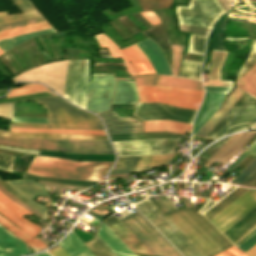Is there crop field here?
<instances>
[{
	"mask_svg": "<svg viewBox=\"0 0 256 256\" xmlns=\"http://www.w3.org/2000/svg\"><path fill=\"white\" fill-rule=\"evenodd\" d=\"M0 223H2L4 226H6L11 232H13L16 236H18L20 239H22L24 242H26L32 248L39 250V249H43V248L47 247L36 237L34 239L30 238L28 235H26L20 229L15 227L13 224H11L9 221H7L5 218H3L1 215H0Z\"/></svg>",
	"mask_w": 256,
	"mask_h": 256,
	"instance_id": "120bbe31",
	"label": "crop field"
},
{
	"mask_svg": "<svg viewBox=\"0 0 256 256\" xmlns=\"http://www.w3.org/2000/svg\"><path fill=\"white\" fill-rule=\"evenodd\" d=\"M249 1H252V2H255V3H256V0H249Z\"/></svg>",
	"mask_w": 256,
	"mask_h": 256,
	"instance_id": "180be81f",
	"label": "crop field"
},
{
	"mask_svg": "<svg viewBox=\"0 0 256 256\" xmlns=\"http://www.w3.org/2000/svg\"><path fill=\"white\" fill-rule=\"evenodd\" d=\"M256 123V98L250 97L232 119L214 137L217 139L230 132L251 128Z\"/></svg>",
	"mask_w": 256,
	"mask_h": 256,
	"instance_id": "733c2abd",
	"label": "crop field"
},
{
	"mask_svg": "<svg viewBox=\"0 0 256 256\" xmlns=\"http://www.w3.org/2000/svg\"><path fill=\"white\" fill-rule=\"evenodd\" d=\"M157 201L165 209L166 212L176 210L175 206L172 204L168 197L157 199Z\"/></svg>",
	"mask_w": 256,
	"mask_h": 256,
	"instance_id": "0765c3eb",
	"label": "crop field"
},
{
	"mask_svg": "<svg viewBox=\"0 0 256 256\" xmlns=\"http://www.w3.org/2000/svg\"><path fill=\"white\" fill-rule=\"evenodd\" d=\"M109 136L111 138V141L181 137V135L179 134L167 132L117 134Z\"/></svg>",
	"mask_w": 256,
	"mask_h": 256,
	"instance_id": "1d83c4d3",
	"label": "crop field"
},
{
	"mask_svg": "<svg viewBox=\"0 0 256 256\" xmlns=\"http://www.w3.org/2000/svg\"><path fill=\"white\" fill-rule=\"evenodd\" d=\"M15 157L0 155V169L10 171Z\"/></svg>",
	"mask_w": 256,
	"mask_h": 256,
	"instance_id": "0fb4a251",
	"label": "crop field"
},
{
	"mask_svg": "<svg viewBox=\"0 0 256 256\" xmlns=\"http://www.w3.org/2000/svg\"><path fill=\"white\" fill-rule=\"evenodd\" d=\"M245 91L235 87L232 93L222 104L226 94L206 92L205 100L196 117L193 134L202 126V124L212 115L204 125L195 133L196 135L205 136L209 130L219 121V119L230 109V107L240 98Z\"/></svg>",
	"mask_w": 256,
	"mask_h": 256,
	"instance_id": "d8731c3e",
	"label": "crop field"
},
{
	"mask_svg": "<svg viewBox=\"0 0 256 256\" xmlns=\"http://www.w3.org/2000/svg\"><path fill=\"white\" fill-rule=\"evenodd\" d=\"M103 222L133 251L136 256H153L114 215Z\"/></svg>",
	"mask_w": 256,
	"mask_h": 256,
	"instance_id": "4a817a6b",
	"label": "crop field"
},
{
	"mask_svg": "<svg viewBox=\"0 0 256 256\" xmlns=\"http://www.w3.org/2000/svg\"><path fill=\"white\" fill-rule=\"evenodd\" d=\"M58 245L70 256H95L72 232Z\"/></svg>",
	"mask_w": 256,
	"mask_h": 256,
	"instance_id": "730fd06b",
	"label": "crop field"
},
{
	"mask_svg": "<svg viewBox=\"0 0 256 256\" xmlns=\"http://www.w3.org/2000/svg\"><path fill=\"white\" fill-rule=\"evenodd\" d=\"M245 190L247 189L237 187L231 193H229L226 197H224L221 201H219L216 205H214L215 208L208 210L207 212L204 213V215L210 220L222 209H224L228 204H230L234 199H236L239 195H241Z\"/></svg>",
	"mask_w": 256,
	"mask_h": 256,
	"instance_id": "5866460e",
	"label": "crop field"
},
{
	"mask_svg": "<svg viewBox=\"0 0 256 256\" xmlns=\"http://www.w3.org/2000/svg\"><path fill=\"white\" fill-rule=\"evenodd\" d=\"M195 112L158 103H147L139 104L134 115L143 120L167 119L191 124Z\"/></svg>",
	"mask_w": 256,
	"mask_h": 256,
	"instance_id": "5142ce71",
	"label": "crop field"
},
{
	"mask_svg": "<svg viewBox=\"0 0 256 256\" xmlns=\"http://www.w3.org/2000/svg\"><path fill=\"white\" fill-rule=\"evenodd\" d=\"M149 199L205 256H212L232 245L204 216L192 208L166 214L153 196Z\"/></svg>",
	"mask_w": 256,
	"mask_h": 256,
	"instance_id": "8a807250",
	"label": "crop field"
},
{
	"mask_svg": "<svg viewBox=\"0 0 256 256\" xmlns=\"http://www.w3.org/2000/svg\"><path fill=\"white\" fill-rule=\"evenodd\" d=\"M22 178L30 179V180H38V181L70 183V184L84 185V186H90L93 183H95V182H92V181L55 179V178L39 177V176H33V175H27V174H22Z\"/></svg>",
	"mask_w": 256,
	"mask_h": 256,
	"instance_id": "d23c7cc5",
	"label": "crop field"
},
{
	"mask_svg": "<svg viewBox=\"0 0 256 256\" xmlns=\"http://www.w3.org/2000/svg\"><path fill=\"white\" fill-rule=\"evenodd\" d=\"M190 128L191 125L189 124H183L167 120L144 121L145 131L166 130L184 134V129L190 130Z\"/></svg>",
	"mask_w": 256,
	"mask_h": 256,
	"instance_id": "ae1a2a85",
	"label": "crop field"
},
{
	"mask_svg": "<svg viewBox=\"0 0 256 256\" xmlns=\"http://www.w3.org/2000/svg\"><path fill=\"white\" fill-rule=\"evenodd\" d=\"M237 249L234 247H231L215 256H247L244 253L240 252L241 250L239 251Z\"/></svg>",
	"mask_w": 256,
	"mask_h": 256,
	"instance_id": "7b73153f",
	"label": "crop field"
},
{
	"mask_svg": "<svg viewBox=\"0 0 256 256\" xmlns=\"http://www.w3.org/2000/svg\"><path fill=\"white\" fill-rule=\"evenodd\" d=\"M136 45L147 56L156 73L171 75L167 62L155 43L146 38L136 43Z\"/></svg>",
	"mask_w": 256,
	"mask_h": 256,
	"instance_id": "92a150f3",
	"label": "crop field"
},
{
	"mask_svg": "<svg viewBox=\"0 0 256 256\" xmlns=\"http://www.w3.org/2000/svg\"><path fill=\"white\" fill-rule=\"evenodd\" d=\"M183 47L184 46L172 45V48H173L172 68H173L174 75H177V73H178L179 60H180L181 55H182Z\"/></svg>",
	"mask_w": 256,
	"mask_h": 256,
	"instance_id": "dbb93151",
	"label": "crop field"
},
{
	"mask_svg": "<svg viewBox=\"0 0 256 256\" xmlns=\"http://www.w3.org/2000/svg\"><path fill=\"white\" fill-rule=\"evenodd\" d=\"M41 90H47V88L39 84H25L22 87L12 88L7 97Z\"/></svg>",
	"mask_w": 256,
	"mask_h": 256,
	"instance_id": "425ffa30",
	"label": "crop field"
},
{
	"mask_svg": "<svg viewBox=\"0 0 256 256\" xmlns=\"http://www.w3.org/2000/svg\"><path fill=\"white\" fill-rule=\"evenodd\" d=\"M0 144L25 149H51L73 153L114 154L107 140L0 136Z\"/></svg>",
	"mask_w": 256,
	"mask_h": 256,
	"instance_id": "412701ff",
	"label": "crop field"
},
{
	"mask_svg": "<svg viewBox=\"0 0 256 256\" xmlns=\"http://www.w3.org/2000/svg\"><path fill=\"white\" fill-rule=\"evenodd\" d=\"M14 122H33V123H48L47 118H30V117H12Z\"/></svg>",
	"mask_w": 256,
	"mask_h": 256,
	"instance_id": "9d1cf04e",
	"label": "crop field"
},
{
	"mask_svg": "<svg viewBox=\"0 0 256 256\" xmlns=\"http://www.w3.org/2000/svg\"><path fill=\"white\" fill-rule=\"evenodd\" d=\"M36 102L47 109L52 127L103 129L97 117L68 104L59 96L36 100Z\"/></svg>",
	"mask_w": 256,
	"mask_h": 256,
	"instance_id": "f4fd0767",
	"label": "crop field"
},
{
	"mask_svg": "<svg viewBox=\"0 0 256 256\" xmlns=\"http://www.w3.org/2000/svg\"><path fill=\"white\" fill-rule=\"evenodd\" d=\"M10 136L107 139L106 136L45 134V133H21V132H10Z\"/></svg>",
	"mask_w": 256,
	"mask_h": 256,
	"instance_id": "b80d0937",
	"label": "crop field"
},
{
	"mask_svg": "<svg viewBox=\"0 0 256 256\" xmlns=\"http://www.w3.org/2000/svg\"><path fill=\"white\" fill-rule=\"evenodd\" d=\"M34 256H36V255H34Z\"/></svg>",
	"mask_w": 256,
	"mask_h": 256,
	"instance_id": "1f1604b0",
	"label": "crop field"
},
{
	"mask_svg": "<svg viewBox=\"0 0 256 256\" xmlns=\"http://www.w3.org/2000/svg\"><path fill=\"white\" fill-rule=\"evenodd\" d=\"M88 83V60H68L63 96L84 108Z\"/></svg>",
	"mask_w": 256,
	"mask_h": 256,
	"instance_id": "28ad6ade",
	"label": "crop field"
},
{
	"mask_svg": "<svg viewBox=\"0 0 256 256\" xmlns=\"http://www.w3.org/2000/svg\"><path fill=\"white\" fill-rule=\"evenodd\" d=\"M109 134L142 132L141 122L133 118L119 117L114 110L99 113Z\"/></svg>",
	"mask_w": 256,
	"mask_h": 256,
	"instance_id": "bc2a9ffb",
	"label": "crop field"
},
{
	"mask_svg": "<svg viewBox=\"0 0 256 256\" xmlns=\"http://www.w3.org/2000/svg\"><path fill=\"white\" fill-rule=\"evenodd\" d=\"M256 206V190L248 189L210 221L223 233ZM256 232V207L223 234L237 247Z\"/></svg>",
	"mask_w": 256,
	"mask_h": 256,
	"instance_id": "ac0d7876",
	"label": "crop field"
},
{
	"mask_svg": "<svg viewBox=\"0 0 256 256\" xmlns=\"http://www.w3.org/2000/svg\"><path fill=\"white\" fill-rule=\"evenodd\" d=\"M99 53H100L101 56L111 57V56L108 54V52H107L106 50H104V49L99 50Z\"/></svg>",
	"mask_w": 256,
	"mask_h": 256,
	"instance_id": "c5b07064",
	"label": "crop field"
},
{
	"mask_svg": "<svg viewBox=\"0 0 256 256\" xmlns=\"http://www.w3.org/2000/svg\"><path fill=\"white\" fill-rule=\"evenodd\" d=\"M46 32H54L53 29H49V30H45V31H41V32H37V33H33V34H29V35H25V36H21V37H17V38H13V39H9V40H5V41H1L0 42V49L3 50L4 52L11 49V48H14L17 44L23 42V41H26V40H29L37 35H41L43 33H46Z\"/></svg>",
	"mask_w": 256,
	"mask_h": 256,
	"instance_id": "b54c1fbb",
	"label": "crop field"
},
{
	"mask_svg": "<svg viewBox=\"0 0 256 256\" xmlns=\"http://www.w3.org/2000/svg\"><path fill=\"white\" fill-rule=\"evenodd\" d=\"M120 221L154 256H180L138 212Z\"/></svg>",
	"mask_w": 256,
	"mask_h": 256,
	"instance_id": "5a996713",
	"label": "crop field"
},
{
	"mask_svg": "<svg viewBox=\"0 0 256 256\" xmlns=\"http://www.w3.org/2000/svg\"><path fill=\"white\" fill-rule=\"evenodd\" d=\"M225 55L226 52L212 50L209 79L220 80L219 71L222 67Z\"/></svg>",
	"mask_w": 256,
	"mask_h": 256,
	"instance_id": "0bd39190",
	"label": "crop field"
},
{
	"mask_svg": "<svg viewBox=\"0 0 256 256\" xmlns=\"http://www.w3.org/2000/svg\"><path fill=\"white\" fill-rule=\"evenodd\" d=\"M179 30L188 31L192 33H199V34H205L207 35L209 29L208 28H202V27H196V26H190V25H182L179 24Z\"/></svg>",
	"mask_w": 256,
	"mask_h": 256,
	"instance_id": "1d79db26",
	"label": "crop field"
},
{
	"mask_svg": "<svg viewBox=\"0 0 256 256\" xmlns=\"http://www.w3.org/2000/svg\"><path fill=\"white\" fill-rule=\"evenodd\" d=\"M0 135L9 136V132L0 130Z\"/></svg>",
	"mask_w": 256,
	"mask_h": 256,
	"instance_id": "c3a83c6f",
	"label": "crop field"
},
{
	"mask_svg": "<svg viewBox=\"0 0 256 256\" xmlns=\"http://www.w3.org/2000/svg\"><path fill=\"white\" fill-rule=\"evenodd\" d=\"M140 102H158L172 106H179L197 110L202 100L203 92L178 89L157 85L137 87ZM199 101L198 105H194Z\"/></svg>",
	"mask_w": 256,
	"mask_h": 256,
	"instance_id": "e52e79f7",
	"label": "crop field"
},
{
	"mask_svg": "<svg viewBox=\"0 0 256 256\" xmlns=\"http://www.w3.org/2000/svg\"><path fill=\"white\" fill-rule=\"evenodd\" d=\"M134 206L183 256H204L148 198Z\"/></svg>",
	"mask_w": 256,
	"mask_h": 256,
	"instance_id": "dd49c442",
	"label": "crop field"
},
{
	"mask_svg": "<svg viewBox=\"0 0 256 256\" xmlns=\"http://www.w3.org/2000/svg\"><path fill=\"white\" fill-rule=\"evenodd\" d=\"M105 65H124L123 63H95V66H105Z\"/></svg>",
	"mask_w": 256,
	"mask_h": 256,
	"instance_id": "c39391a2",
	"label": "crop field"
},
{
	"mask_svg": "<svg viewBox=\"0 0 256 256\" xmlns=\"http://www.w3.org/2000/svg\"><path fill=\"white\" fill-rule=\"evenodd\" d=\"M113 83L112 74H94L85 108L94 113L108 110Z\"/></svg>",
	"mask_w": 256,
	"mask_h": 256,
	"instance_id": "cbeb9de0",
	"label": "crop field"
},
{
	"mask_svg": "<svg viewBox=\"0 0 256 256\" xmlns=\"http://www.w3.org/2000/svg\"><path fill=\"white\" fill-rule=\"evenodd\" d=\"M215 202L208 200L204 206L198 211L200 213H203L205 210H207L211 205H213Z\"/></svg>",
	"mask_w": 256,
	"mask_h": 256,
	"instance_id": "ae633e8c",
	"label": "crop field"
},
{
	"mask_svg": "<svg viewBox=\"0 0 256 256\" xmlns=\"http://www.w3.org/2000/svg\"><path fill=\"white\" fill-rule=\"evenodd\" d=\"M85 245L96 255V256H117L97 235L94 240Z\"/></svg>",
	"mask_w": 256,
	"mask_h": 256,
	"instance_id": "c035e120",
	"label": "crop field"
},
{
	"mask_svg": "<svg viewBox=\"0 0 256 256\" xmlns=\"http://www.w3.org/2000/svg\"><path fill=\"white\" fill-rule=\"evenodd\" d=\"M17 241L19 243V246H20V249L22 251V254L25 255V254L29 253L27 248H26V246H25V244L22 243L19 239H17Z\"/></svg>",
	"mask_w": 256,
	"mask_h": 256,
	"instance_id": "d14b1444",
	"label": "crop field"
},
{
	"mask_svg": "<svg viewBox=\"0 0 256 256\" xmlns=\"http://www.w3.org/2000/svg\"><path fill=\"white\" fill-rule=\"evenodd\" d=\"M112 162H74L61 158L35 156L28 173L84 180L100 181L101 175L110 168Z\"/></svg>",
	"mask_w": 256,
	"mask_h": 256,
	"instance_id": "34b2d1b8",
	"label": "crop field"
},
{
	"mask_svg": "<svg viewBox=\"0 0 256 256\" xmlns=\"http://www.w3.org/2000/svg\"><path fill=\"white\" fill-rule=\"evenodd\" d=\"M158 167V166H156ZM154 167H139V168H121V169H112L110 174H116V173H130V172H139L147 169H151Z\"/></svg>",
	"mask_w": 256,
	"mask_h": 256,
	"instance_id": "447ae74e",
	"label": "crop field"
},
{
	"mask_svg": "<svg viewBox=\"0 0 256 256\" xmlns=\"http://www.w3.org/2000/svg\"><path fill=\"white\" fill-rule=\"evenodd\" d=\"M230 183L256 187V157Z\"/></svg>",
	"mask_w": 256,
	"mask_h": 256,
	"instance_id": "750c4746",
	"label": "crop field"
},
{
	"mask_svg": "<svg viewBox=\"0 0 256 256\" xmlns=\"http://www.w3.org/2000/svg\"><path fill=\"white\" fill-rule=\"evenodd\" d=\"M256 127V126H255Z\"/></svg>",
	"mask_w": 256,
	"mask_h": 256,
	"instance_id": "819c52e7",
	"label": "crop field"
},
{
	"mask_svg": "<svg viewBox=\"0 0 256 256\" xmlns=\"http://www.w3.org/2000/svg\"><path fill=\"white\" fill-rule=\"evenodd\" d=\"M95 38L99 44L100 47H107L108 51L112 55V57H121L123 62L126 65L127 70L132 74L136 75L137 72L132 67L128 59L124 56V54L121 52V50L103 33L99 35H95Z\"/></svg>",
	"mask_w": 256,
	"mask_h": 256,
	"instance_id": "bd1437ed",
	"label": "crop field"
},
{
	"mask_svg": "<svg viewBox=\"0 0 256 256\" xmlns=\"http://www.w3.org/2000/svg\"><path fill=\"white\" fill-rule=\"evenodd\" d=\"M23 13L14 14L0 18V25L38 16V12L33 8L28 0H12Z\"/></svg>",
	"mask_w": 256,
	"mask_h": 256,
	"instance_id": "d3111659",
	"label": "crop field"
},
{
	"mask_svg": "<svg viewBox=\"0 0 256 256\" xmlns=\"http://www.w3.org/2000/svg\"><path fill=\"white\" fill-rule=\"evenodd\" d=\"M249 153L256 155V140L225 171L230 173Z\"/></svg>",
	"mask_w": 256,
	"mask_h": 256,
	"instance_id": "73cf0c24",
	"label": "crop field"
},
{
	"mask_svg": "<svg viewBox=\"0 0 256 256\" xmlns=\"http://www.w3.org/2000/svg\"><path fill=\"white\" fill-rule=\"evenodd\" d=\"M51 256H68L60 247L55 250L49 252Z\"/></svg>",
	"mask_w": 256,
	"mask_h": 256,
	"instance_id": "e1d0b9f6",
	"label": "crop field"
},
{
	"mask_svg": "<svg viewBox=\"0 0 256 256\" xmlns=\"http://www.w3.org/2000/svg\"><path fill=\"white\" fill-rule=\"evenodd\" d=\"M134 79L137 86L157 84L203 91L201 82L197 80L161 75H149L144 77H137Z\"/></svg>",
	"mask_w": 256,
	"mask_h": 256,
	"instance_id": "214f88e0",
	"label": "crop field"
},
{
	"mask_svg": "<svg viewBox=\"0 0 256 256\" xmlns=\"http://www.w3.org/2000/svg\"><path fill=\"white\" fill-rule=\"evenodd\" d=\"M223 13L225 11L216 0H191L188 7H176L179 23L208 28Z\"/></svg>",
	"mask_w": 256,
	"mask_h": 256,
	"instance_id": "3316defc",
	"label": "crop field"
},
{
	"mask_svg": "<svg viewBox=\"0 0 256 256\" xmlns=\"http://www.w3.org/2000/svg\"><path fill=\"white\" fill-rule=\"evenodd\" d=\"M7 185H9L15 192H17L20 196L25 197L27 199L32 200L34 195H48L46 190L39 184L30 181V180H15V181H4ZM4 182L0 180V184L7 189L11 194H13L16 198L22 200L23 202L29 204L36 210L40 211L44 215H46L47 208L33 202L30 200H27L25 198L20 197L18 194H16L10 187H8ZM2 186H0V190L5 193L9 198H11L13 201L33 213L34 215L38 216L41 219H45L46 216L41 214L40 212L36 211L29 205L23 203L22 201L16 199L14 196H12L8 191H6Z\"/></svg>",
	"mask_w": 256,
	"mask_h": 256,
	"instance_id": "d1516ede",
	"label": "crop field"
},
{
	"mask_svg": "<svg viewBox=\"0 0 256 256\" xmlns=\"http://www.w3.org/2000/svg\"><path fill=\"white\" fill-rule=\"evenodd\" d=\"M152 26L160 24V20L153 12L140 13Z\"/></svg>",
	"mask_w": 256,
	"mask_h": 256,
	"instance_id": "db79e9e6",
	"label": "crop field"
},
{
	"mask_svg": "<svg viewBox=\"0 0 256 256\" xmlns=\"http://www.w3.org/2000/svg\"><path fill=\"white\" fill-rule=\"evenodd\" d=\"M205 36L191 34L187 52L203 55Z\"/></svg>",
	"mask_w": 256,
	"mask_h": 256,
	"instance_id": "5d738f31",
	"label": "crop field"
},
{
	"mask_svg": "<svg viewBox=\"0 0 256 256\" xmlns=\"http://www.w3.org/2000/svg\"><path fill=\"white\" fill-rule=\"evenodd\" d=\"M179 138L112 142L118 156L172 153Z\"/></svg>",
	"mask_w": 256,
	"mask_h": 256,
	"instance_id": "22f410ed",
	"label": "crop field"
},
{
	"mask_svg": "<svg viewBox=\"0 0 256 256\" xmlns=\"http://www.w3.org/2000/svg\"><path fill=\"white\" fill-rule=\"evenodd\" d=\"M246 253H248L251 256H256V245L254 247H252L249 251H247Z\"/></svg>",
	"mask_w": 256,
	"mask_h": 256,
	"instance_id": "ade564c9",
	"label": "crop field"
},
{
	"mask_svg": "<svg viewBox=\"0 0 256 256\" xmlns=\"http://www.w3.org/2000/svg\"><path fill=\"white\" fill-rule=\"evenodd\" d=\"M97 235L118 255L135 256L132 251L104 224L102 223Z\"/></svg>",
	"mask_w": 256,
	"mask_h": 256,
	"instance_id": "00972430",
	"label": "crop field"
},
{
	"mask_svg": "<svg viewBox=\"0 0 256 256\" xmlns=\"http://www.w3.org/2000/svg\"><path fill=\"white\" fill-rule=\"evenodd\" d=\"M237 86L256 96V64L243 77V79L237 84Z\"/></svg>",
	"mask_w": 256,
	"mask_h": 256,
	"instance_id": "03da06ac",
	"label": "crop field"
},
{
	"mask_svg": "<svg viewBox=\"0 0 256 256\" xmlns=\"http://www.w3.org/2000/svg\"><path fill=\"white\" fill-rule=\"evenodd\" d=\"M3 54V52L0 50V55Z\"/></svg>",
	"mask_w": 256,
	"mask_h": 256,
	"instance_id": "f0312440",
	"label": "crop field"
},
{
	"mask_svg": "<svg viewBox=\"0 0 256 256\" xmlns=\"http://www.w3.org/2000/svg\"><path fill=\"white\" fill-rule=\"evenodd\" d=\"M9 130L10 131H22V132H46V133H70V134L105 135L103 131H87V130L26 129V128H9Z\"/></svg>",
	"mask_w": 256,
	"mask_h": 256,
	"instance_id": "c21b1889",
	"label": "crop field"
},
{
	"mask_svg": "<svg viewBox=\"0 0 256 256\" xmlns=\"http://www.w3.org/2000/svg\"><path fill=\"white\" fill-rule=\"evenodd\" d=\"M48 27L49 25L46 23V21H43V22H39V23L27 25V26L15 28V29L0 32V39L32 32V31H36V30H40Z\"/></svg>",
	"mask_w": 256,
	"mask_h": 256,
	"instance_id": "e1f06a70",
	"label": "crop field"
},
{
	"mask_svg": "<svg viewBox=\"0 0 256 256\" xmlns=\"http://www.w3.org/2000/svg\"><path fill=\"white\" fill-rule=\"evenodd\" d=\"M5 15H7V11L0 12V17H1V16H5Z\"/></svg>",
	"mask_w": 256,
	"mask_h": 256,
	"instance_id": "7312dd0a",
	"label": "crop field"
},
{
	"mask_svg": "<svg viewBox=\"0 0 256 256\" xmlns=\"http://www.w3.org/2000/svg\"><path fill=\"white\" fill-rule=\"evenodd\" d=\"M174 154L118 157L114 168L165 165Z\"/></svg>",
	"mask_w": 256,
	"mask_h": 256,
	"instance_id": "dafd665d",
	"label": "crop field"
},
{
	"mask_svg": "<svg viewBox=\"0 0 256 256\" xmlns=\"http://www.w3.org/2000/svg\"><path fill=\"white\" fill-rule=\"evenodd\" d=\"M15 236L0 226V256H20Z\"/></svg>",
	"mask_w": 256,
	"mask_h": 256,
	"instance_id": "eef30255",
	"label": "crop field"
},
{
	"mask_svg": "<svg viewBox=\"0 0 256 256\" xmlns=\"http://www.w3.org/2000/svg\"><path fill=\"white\" fill-rule=\"evenodd\" d=\"M37 256H49L47 253L43 252L41 254H38Z\"/></svg>",
	"mask_w": 256,
	"mask_h": 256,
	"instance_id": "fb207236",
	"label": "crop field"
},
{
	"mask_svg": "<svg viewBox=\"0 0 256 256\" xmlns=\"http://www.w3.org/2000/svg\"><path fill=\"white\" fill-rule=\"evenodd\" d=\"M255 244H256V233L251 238H249L246 242H244L241 246H239L238 248H240L246 252Z\"/></svg>",
	"mask_w": 256,
	"mask_h": 256,
	"instance_id": "78b8030e",
	"label": "crop field"
},
{
	"mask_svg": "<svg viewBox=\"0 0 256 256\" xmlns=\"http://www.w3.org/2000/svg\"><path fill=\"white\" fill-rule=\"evenodd\" d=\"M121 50L130 60L138 74L155 73L146 56L135 44Z\"/></svg>",
	"mask_w": 256,
	"mask_h": 256,
	"instance_id": "4177f3b9",
	"label": "crop field"
},
{
	"mask_svg": "<svg viewBox=\"0 0 256 256\" xmlns=\"http://www.w3.org/2000/svg\"><path fill=\"white\" fill-rule=\"evenodd\" d=\"M248 93H244L241 98L231 107V109L220 119V121L206 135L213 138L217 132L227 123V121L237 112L240 106L250 97Z\"/></svg>",
	"mask_w": 256,
	"mask_h": 256,
	"instance_id": "d32e631a",
	"label": "crop field"
},
{
	"mask_svg": "<svg viewBox=\"0 0 256 256\" xmlns=\"http://www.w3.org/2000/svg\"><path fill=\"white\" fill-rule=\"evenodd\" d=\"M230 137V136H229ZM224 138L212 145H210L208 148H206L204 151H202L199 155V157L207 160L209 159L220 147L221 145L229 138Z\"/></svg>",
	"mask_w": 256,
	"mask_h": 256,
	"instance_id": "89e229c0",
	"label": "crop field"
},
{
	"mask_svg": "<svg viewBox=\"0 0 256 256\" xmlns=\"http://www.w3.org/2000/svg\"><path fill=\"white\" fill-rule=\"evenodd\" d=\"M43 20L44 19L41 16H38V17H34V18H30V19H26V20L14 22V23L2 25V26H0V31L27 25V24H31V23H35V22H39V21H43Z\"/></svg>",
	"mask_w": 256,
	"mask_h": 256,
	"instance_id": "1f2cbd36",
	"label": "crop field"
},
{
	"mask_svg": "<svg viewBox=\"0 0 256 256\" xmlns=\"http://www.w3.org/2000/svg\"><path fill=\"white\" fill-rule=\"evenodd\" d=\"M137 100L133 82L116 80L112 103L136 104Z\"/></svg>",
	"mask_w": 256,
	"mask_h": 256,
	"instance_id": "a9b5d70f",
	"label": "crop field"
},
{
	"mask_svg": "<svg viewBox=\"0 0 256 256\" xmlns=\"http://www.w3.org/2000/svg\"><path fill=\"white\" fill-rule=\"evenodd\" d=\"M0 214L7 218L10 222L23 230L25 233L34 237L39 233L40 229L36 225L22 218V215H33L0 191Z\"/></svg>",
	"mask_w": 256,
	"mask_h": 256,
	"instance_id": "d9b57169",
	"label": "crop field"
},
{
	"mask_svg": "<svg viewBox=\"0 0 256 256\" xmlns=\"http://www.w3.org/2000/svg\"><path fill=\"white\" fill-rule=\"evenodd\" d=\"M10 126H30V127H49L48 124H33V123H10Z\"/></svg>",
	"mask_w": 256,
	"mask_h": 256,
	"instance_id": "0f1d7ab4",
	"label": "crop field"
},
{
	"mask_svg": "<svg viewBox=\"0 0 256 256\" xmlns=\"http://www.w3.org/2000/svg\"><path fill=\"white\" fill-rule=\"evenodd\" d=\"M201 63L183 59L179 76L200 79Z\"/></svg>",
	"mask_w": 256,
	"mask_h": 256,
	"instance_id": "028f5c9d",
	"label": "crop field"
},
{
	"mask_svg": "<svg viewBox=\"0 0 256 256\" xmlns=\"http://www.w3.org/2000/svg\"><path fill=\"white\" fill-rule=\"evenodd\" d=\"M256 62V41L253 40V45L251 52L247 61L244 63L242 68L240 69L237 77V81L252 67V65Z\"/></svg>",
	"mask_w": 256,
	"mask_h": 256,
	"instance_id": "25e5ab78",
	"label": "crop field"
}]
</instances>
